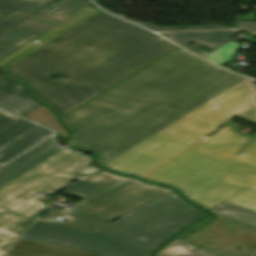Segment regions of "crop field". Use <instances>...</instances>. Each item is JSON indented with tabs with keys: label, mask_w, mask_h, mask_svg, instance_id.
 Returning a JSON list of instances; mask_svg holds the SVG:
<instances>
[{
	"label": "crop field",
	"mask_w": 256,
	"mask_h": 256,
	"mask_svg": "<svg viewBox=\"0 0 256 256\" xmlns=\"http://www.w3.org/2000/svg\"><path fill=\"white\" fill-rule=\"evenodd\" d=\"M235 115L256 122V87L177 47L61 119L109 169L256 211V140L239 157L228 125L205 137Z\"/></svg>",
	"instance_id": "crop-field-1"
},
{
	"label": "crop field",
	"mask_w": 256,
	"mask_h": 256,
	"mask_svg": "<svg viewBox=\"0 0 256 256\" xmlns=\"http://www.w3.org/2000/svg\"><path fill=\"white\" fill-rule=\"evenodd\" d=\"M101 11L9 67L61 117L176 46ZM57 72V82L47 75ZM75 80H78L75 82Z\"/></svg>",
	"instance_id": "crop-field-2"
},
{
	"label": "crop field",
	"mask_w": 256,
	"mask_h": 256,
	"mask_svg": "<svg viewBox=\"0 0 256 256\" xmlns=\"http://www.w3.org/2000/svg\"><path fill=\"white\" fill-rule=\"evenodd\" d=\"M87 162L85 156L58 147L49 138L0 167V256L46 208L32 196L64 189Z\"/></svg>",
	"instance_id": "crop-field-3"
},
{
	"label": "crop field",
	"mask_w": 256,
	"mask_h": 256,
	"mask_svg": "<svg viewBox=\"0 0 256 256\" xmlns=\"http://www.w3.org/2000/svg\"><path fill=\"white\" fill-rule=\"evenodd\" d=\"M77 179L80 181L73 183L64 194L84 199L69 210L49 207L41 220L66 216L71 221L62 225L95 231L172 193L162 187L105 171Z\"/></svg>",
	"instance_id": "crop-field-4"
},
{
	"label": "crop field",
	"mask_w": 256,
	"mask_h": 256,
	"mask_svg": "<svg viewBox=\"0 0 256 256\" xmlns=\"http://www.w3.org/2000/svg\"><path fill=\"white\" fill-rule=\"evenodd\" d=\"M92 4L89 0H63L54 8L42 0H0V59L46 30Z\"/></svg>",
	"instance_id": "crop-field-5"
},
{
	"label": "crop field",
	"mask_w": 256,
	"mask_h": 256,
	"mask_svg": "<svg viewBox=\"0 0 256 256\" xmlns=\"http://www.w3.org/2000/svg\"><path fill=\"white\" fill-rule=\"evenodd\" d=\"M199 215L198 210L173 193L96 232L160 244Z\"/></svg>",
	"instance_id": "crop-field-6"
},
{
	"label": "crop field",
	"mask_w": 256,
	"mask_h": 256,
	"mask_svg": "<svg viewBox=\"0 0 256 256\" xmlns=\"http://www.w3.org/2000/svg\"><path fill=\"white\" fill-rule=\"evenodd\" d=\"M22 239L104 256H149L157 245L36 221Z\"/></svg>",
	"instance_id": "crop-field-7"
},
{
	"label": "crop field",
	"mask_w": 256,
	"mask_h": 256,
	"mask_svg": "<svg viewBox=\"0 0 256 256\" xmlns=\"http://www.w3.org/2000/svg\"><path fill=\"white\" fill-rule=\"evenodd\" d=\"M52 132L29 121L18 120L0 131V163L41 141Z\"/></svg>",
	"instance_id": "crop-field-8"
},
{
	"label": "crop field",
	"mask_w": 256,
	"mask_h": 256,
	"mask_svg": "<svg viewBox=\"0 0 256 256\" xmlns=\"http://www.w3.org/2000/svg\"><path fill=\"white\" fill-rule=\"evenodd\" d=\"M97 12L98 11L90 8H85L81 10L80 12L76 13L75 15L71 16L70 18L66 19L65 21L61 22L60 24L56 25L55 27L51 28L47 32L37 37L36 39L40 40L38 44L30 42L25 46L21 47L20 49L14 51L13 53L9 54L8 56L4 57L3 59H1L0 66L3 69L8 68L17 61L29 55L34 50L55 39L63 32L71 29L72 27L76 26L77 24L81 23L82 21H84L85 19L89 18Z\"/></svg>",
	"instance_id": "crop-field-9"
},
{
	"label": "crop field",
	"mask_w": 256,
	"mask_h": 256,
	"mask_svg": "<svg viewBox=\"0 0 256 256\" xmlns=\"http://www.w3.org/2000/svg\"><path fill=\"white\" fill-rule=\"evenodd\" d=\"M237 32L238 31L234 30H224L217 32L162 33L161 35L204 57L208 54L192 48L184 43L187 41H192L216 49L227 41L231 40V37Z\"/></svg>",
	"instance_id": "crop-field-10"
},
{
	"label": "crop field",
	"mask_w": 256,
	"mask_h": 256,
	"mask_svg": "<svg viewBox=\"0 0 256 256\" xmlns=\"http://www.w3.org/2000/svg\"><path fill=\"white\" fill-rule=\"evenodd\" d=\"M38 105L23 92L20 84L0 79V107L23 116Z\"/></svg>",
	"instance_id": "crop-field-11"
},
{
	"label": "crop field",
	"mask_w": 256,
	"mask_h": 256,
	"mask_svg": "<svg viewBox=\"0 0 256 256\" xmlns=\"http://www.w3.org/2000/svg\"><path fill=\"white\" fill-rule=\"evenodd\" d=\"M6 254V253H5ZM5 256H98L19 239Z\"/></svg>",
	"instance_id": "crop-field-12"
},
{
	"label": "crop field",
	"mask_w": 256,
	"mask_h": 256,
	"mask_svg": "<svg viewBox=\"0 0 256 256\" xmlns=\"http://www.w3.org/2000/svg\"><path fill=\"white\" fill-rule=\"evenodd\" d=\"M209 212L256 228V212L223 201Z\"/></svg>",
	"instance_id": "crop-field-13"
},
{
	"label": "crop field",
	"mask_w": 256,
	"mask_h": 256,
	"mask_svg": "<svg viewBox=\"0 0 256 256\" xmlns=\"http://www.w3.org/2000/svg\"><path fill=\"white\" fill-rule=\"evenodd\" d=\"M156 256H217L184 241L175 239Z\"/></svg>",
	"instance_id": "crop-field-14"
},
{
	"label": "crop field",
	"mask_w": 256,
	"mask_h": 256,
	"mask_svg": "<svg viewBox=\"0 0 256 256\" xmlns=\"http://www.w3.org/2000/svg\"><path fill=\"white\" fill-rule=\"evenodd\" d=\"M23 117L28 118L32 121L37 120L41 122L39 124L46 126L54 131H57L58 134L67 137L66 131L61 127V125L58 123L50 110L41 105Z\"/></svg>",
	"instance_id": "crop-field-15"
},
{
	"label": "crop field",
	"mask_w": 256,
	"mask_h": 256,
	"mask_svg": "<svg viewBox=\"0 0 256 256\" xmlns=\"http://www.w3.org/2000/svg\"><path fill=\"white\" fill-rule=\"evenodd\" d=\"M238 45L234 43L233 41L226 43L222 47L216 49L214 52L209 54L208 56L204 57L218 65L222 64L224 61H226L228 58H230L232 55H234V52L238 49Z\"/></svg>",
	"instance_id": "crop-field-16"
},
{
	"label": "crop field",
	"mask_w": 256,
	"mask_h": 256,
	"mask_svg": "<svg viewBox=\"0 0 256 256\" xmlns=\"http://www.w3.org/2000/svg\"><path fill=\"white\" fill-rule=\"evenodd\" d=\"M126 18V17H124ZM130 21H133L135 23H138L140 25H143L145 27H148L154 31H174V30H199V29H220V28H226L225 26L223 25H219V24H206V25H203V26H198V27H172V28H163V27H159V26H156L152 23H142V22H139V21H136V20H133V19H130V18H126Z\"/></svg>",
	"instance_id": "crop-field-17"
},
{
	"label": "crop field",
	"mask_w": 256,
	"mask_h": 256,
	"mask_svg": "<svg viewBox=\"0 0 256 256\" xmlns=\"http://www.w3.org/2000/svg\"><path fill=\"white\" fill-rule=\"evenodd\" d=\"M20 118L7 113L3 110H0V130L5 128L6 126L10 125L11 123L15 122L16 120H18Z\"/></svg>",
	"instance_id": "crop-field-18"
},
{
	"label": "crop field",
	"mask_w": 256,
	"mask_h": 256,
	"mask_svg": "<svg viewBox=\"0 0 256 256\" xmlns=\"http://www.w3.org/2000/svg\"><path fill=\"white\" fill-rule=\"evenodd\" d=\"M238 29L256 32V21L238 22Z\"/></svg>",
	"instance_id": "crop-field-19"
},
{
	"label": "crop field",
	"mask_w": 256,
	"mask_h": 256,
	"mask_svg": "<svg viewBox=\"0 0 256 256\" xmlns=\"http://www.w3.org/2000/svg\"><path fill=\"white\" fill-rule=\"evenodd\" d=\"M99 169L95 168L94 166L90 165L87 168H85L81 174H86V173H92V172H97Z\"/></svg>",
	"instance_id": "crop-field-20"
}]
</instances>
